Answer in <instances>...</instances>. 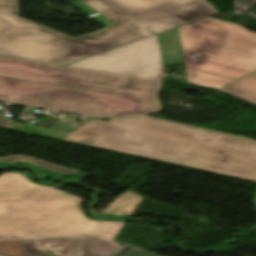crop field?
Instances as JSON below:
<instances>
[{"label":"crop field","instance_id":"20","mask_svg":"<svg viewBox=\"0 0 256 256\" xmlns=\"http://www.w3.org/2000/svg\"><path fill=\"white\" fill-rule=\"evenodd\" d=\"M3 211V208H2V205L0 204V212H2Z\"/></svg>","mask_w":256,"mask_h":256},{"label":"crop field","instance_id":"15","mask_svg":"<svg viewBox=\"0 0 256 256\" xmlns=\"http://www.w3.org/2000/svg\"><path fill=\"white\" fill-rule=\"evenodd\" d=\"M0 11L19 13L18 0H0Z\"/></svg>","mask_w":256,"mask_h":256},{"label":"crop field","instance_id":"19","mask_svg":"<svg viewBox=\"0 0 256 256\" xmlns=\"http://www.w3.org/2000/svg\"><path fill=\"white\" fill-rule=\"evenodd\" d=\"M201 135L206 136L208 138H213V139H217L219 136H222V137L225 136V134L215 133L207 130H204Z\"/></svg>","mask_w":256,"mask_h":256},{"label":"crop field","instance_id":"3","mask_svg":"<svg viewBox=\"0 0 256 256\" xmlns=\"http://www.w3.org/2000/svg\"><path fill=\"white\" fill-rule=\"evenodd\" d=\"M0 101L89 115L121 116L157 112L159 82L0 56Z\"/></svg>","mask_w":256,"mask_h":256},{"label":"crop field","instance_id":"4","mask_svg":"<svg viewBox=\"0 0 256 256\" xmlns=\"http://www.w3.org/2000/svg\"><path fill=\"white\" fill-rule=\"evenodd\" d=\"M84 200L35 185L23 174L0 176V239L91 237L113 241L127 221L85 217Z\"/></svg>","mask_w":256,"mask_h":256},{"label":"crop field","instance_id":"12","mask_svg":"<svg viewBox=\"0 0 256 256\" xmlns=\"http://www.w3.org/2000/svg\"><path fill=\"white\" fill-rule=\"evenodd\" d=\"M1 161H5V162H16V161H27V162H31V163H35L43 168L49 169V170H53V171H57L59 173L62 174H71V173H80L78 171H74L68 168H64L58 165H54L48 162H44L38 159H34L31 157H27L24 155L21 156H14V157H3L0 158Z\"/></svg>","mask_w":256,"mask_h":256},{"label":"crop field","instance_id":"6","mask_svg":"<svg viewBox=\"0 0 256 256\" xmlns=\"http://www.w3.org/2000/svg\"><path fill=\"white\" fill-rule=\"evenodd\" d=\"M68 66L113 74L164 72L157 35L86 58Z\"/></svg>","mask_w":256,"mask_h":256},{"label":"crop field","instance_id":"9","mask_svg":"<svg viewBox=\"0 0 256 256\" xmlns=\"http://www.w3.org/2000/svg\"><path fill=\"white\" fill-rule=\"evenodd\" d=\"M220 91L256 105V72L221 89Z\"/></svg>","mask_w":256,"mask_h":256},{"label":"crop field","instance_id":"13","mask_svg":"<svg viewBox=\"0 0 256 256\" xmlns=\"http://www.w3.org/2000/svg\"><path fill=\"white\" fill-rule=\"evenodd\" d=\"M8 130L22 132V133L31 134V135L40 136V137L49 138V139H54V140H58V141H60L62 138H64L66 136V134L34 129V128L26 126V125L16 127V128H11Z\"/></svg>","mask_w":256,"mask_h":256},{"label":"crop field","instance_id":"11","mask_svg":"<svg viewBox=\"0 0 256 256\" xmlns=\"http://www.w3.org/2000/svg\"><path fill=\"white\" fill-rule=\"evenodd\" d=\"M186 70H187V76L189 81L196 84L204 85V86H211V87L220 89L235 81V80H231V79H227V78H223V77H219V76H215V75H211V74H207V73H203V72H199V71H195L187 68Z\"/></svg>","mask_w":256,"mask_h":256},{"label":"crop field","instance_id":"18","mask_svg":"<svg viewBox=\"0 0 256 256\" xmlns=\"http://www.w3.org/2000/svg\"><path fill=\"white\" fill-rule=\"evenodd\" d=\"M12 122H13L12 120L0 115V128L6 129V128L13 127L10 125Z\"/></svg>","mask_w":256,"mask_h":256},{"label":"crop field","instance_id":"7","mask_svg":"<svg viewBox=\"0 0 256 256\" xmlns=\"http://www.w3.org/2000/svg\"><path fill=\"white\" fill-rule=\"evenodd\" d=\"M36 241L42 252L57 251L67 256H111L121 249L106 240L48 239Z\"/></svg>","mask_w":256,"mask_h":256},{"label":"crop field","instance_id":"10","mask_svg":"<svg viewBox=\"0 0 256 256\" xmlns=\"http://www.w3.org/2000/svg\"><path fill=\"white\" fill-rule=\"evenodd\" d=\"M141 200L142 197L127 191L110 206L106 213L104 212L105 214L103 216L112 218H130Z\"/></svg>","mask_w":256,"mask_h":256},{"label":"crop field","instance_id":"16","mask_svg":"<svg viewBox=\"0 0 256 256\" xmlns=\"http://www.w3.org/2000/svg\"><path fill=\"white\" fill-rule=\"evenodd\" d=\"M48 130L70 134L76 129L59 121L56 127H50Z\"/></svg>","mask_w":256,"mask_h":256},{"label":"crop field","instance_id":"17","mask_svg":"<svg viewBox=\"0 0 256 256\" xmlns=\"http://www.w3.org/2000/svg\"><path fill=\"white\" fill-rule=\"evenodd\" d=\"M120 75L139 77V78H145V79H151V80H157V81H160V79L162 77H164V73H155V74H120Z\"/></svg>","mask_w":256,"mask_h":256},{"label":"crop field","instance_id":"5","mask_svg":"<svg viewBox=\"0 0 256 256\" xmlns=\"http://www.w3.org/2000/svg\"><path fill=\"white\" fill-rule=\"evenodd\" d=\"M178 29L186 67L236 80L256 71V33L211 18Z\"/></svg>","mask_w":256,"mask_h":256},{"label":"crop field","instance_id":"14","mask_svg":"<svg viewBox=\"0 0 256 256\" xmlns=\"http://www.w3.org/2000/svg\"><path fill=\"white\" fill-rule=\"evenodd\" d=\"M113 256H159L146 250L127 244Z\"/></svg>","mask_w":256,"mask_h":256},{"label":"crop field","instance_id":"8","mask_svg":"<svg viewBox=\"0 0 256 256\" xmlns=\"http://www.w3.org/2000/svg\"><path fill=\"white\" fill-rule=\"evenodd\" d=\"M164 65L184 63L178 29L158 34Z\"/></svg>","mask_w":256,"mask_h":256},{"label":"crop field","instance_id":"21","mask_svg":"<svg viewBox=\"0 0 256 256\" xmlns=\"http://www.w3.org/2000/svg\"><path fill=\"white\" fill-rule=\"evenodd\" d=\"M255 203H256V196H255Z\"/></svg>","mask_w":256,"mask_h":256},{"label":"crop field","instance_id":"2","mask_svg":"<svg viewBox=\"0 0 256 256\" xmlns=\"http://www.w3.org/2000/svg\"><path fill=\"white\" fill-rule=\"evenodd\" d=\"M202 131L132 117L90 121L61 141L256 183V143L229 135L208 139Z\"/></svg>","mask_w":256,"mask_h":256},{"label":"crop field","instance_id":"1","mask_svg":"<svg viewBox=\"0 0 256 256\" xmlns=\"http://www.w3.org/2000/svg\"><path fill=\"white\" fill-rule=\"evenodd\" d=\"M105 30L71 39L0 13V55L66 65L124 44L218 14L207 0H76Z\"/></svg>","mask_w":256,"mask_h":256}]
</instances>
